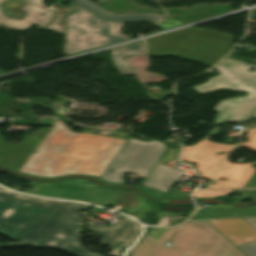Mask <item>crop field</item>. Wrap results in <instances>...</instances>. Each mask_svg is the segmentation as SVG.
Here are the masks:
<instances>
[{
  "mask_svg": "<svg viewBox=\"0 0 256 256\" xmlns=\"http://www.w3.org/2000/svg\"><path fill=\"white\" fill-rule=\"evenodd\" d=\"M89 206L23 197L0 188V235L23 243L0 244V247L58 248L75 256H97L79 246L75 226L78 210Z\"/></svg>",
  "mask_w": 256,
  "mask_h": 256,
  "instance_id": "obj_1",
  "label": "crop field"
},
{
  "mask_svg": "<svg viewBox=\"0 0 256 256\" xmlns=\"http://www.w3.org/2000/svg\"><path fill=\"white\" fill-rule=\"evenodd\" d=\"M84 182V180H76L72 183L59 184L31 183V185L37 186V190L23 192L55 198L97 203L105 207H107L118 195L117 192L101 189L96 184H84Z\"/></svg>",
  "mask_w": 256,
  "mask_h": 256,
  "instance_id": "obj_8",
  "label": "crop field"
},
{
  "mask_svg": "<svg viewBox=\"0 0 256 256\" xmlns=\"http://www.w3.org/2000/svg\"><path fill=\"white\" fill-rule=\"evenodd\" d=\"M106 1V0H98ZM72 2L86 8L87 10L95 13L96 15L110 19L112 21H150L155 25L161 20L163 16H159L158 13H135V14H123L113 15L105 9L101 8L97 4L89 0H72Z\"/></svg>",
  "mask_w": 256,
  "mask_h": 256,
  "instance_id": "obj_15",
  "label": "crop field"
},
{
  "mask_svg": "<svg viewBox=\"0 0 256 256\" xmlns=\"http://www.w3.org/2000/svg\"><path fill=\"white\" fill-rule=\"evenodd\" d=\"M250 133L247 135L249 141L247 142H243V143H239L237 145H244L247 146L249 149L256 151V128L247 130Z\"/></svg>",
  "mask_w": 256,
  "mask_h": 256,
  "instance_id": "obj_22",
  "label": "crop field"
},
{
  "mask_svg": "<svg viewBox=\"0 0 256 256\" xmlns=\"http://www.w3.org/2000/svg\"><path fill=\"white\" fill-rule=\"evenodd\" d=\"M238 216H256V208L254 209H236L233 207H213L210 211L198 210V212L190 219H212L224 217Z\"/></svg>",
  "mask_w": 256,
  "mask_h": 256,
  "instance_id": "obj_18",
  "label": "crop field"
},
{
  "mask_svg": "<svg viewBox=\"0 0 256 256\" xmlns=\"http://www.w3.org/2000/svg\"><path fill=\"white\" fill-rule=\"evenodd\" d=\"M67 14H68L67 7L61 4H58L54 12L53 18L50 20V22L47 25L43 26L42 28L53 30L59 34L64 35Z\"/></svg>",
  "mask_w": 256,
  "mask_h": 256,
  "instance_id": "obj_19",
  "label": "crop field"
},
{
  "mask_svg": "<svg viewBox=\"0 0 256 256\" xmlns=\"http://www.w3.org/2000/svg\"><path fill=\"white\" fill-rule=\"evenodd\" d=\"M165 17H166V19H163L162 22L157 27H159L161 29H166V28H169V27H172V26L182 24L181 22L173 20V19H171L167 16H165Z\"/></svg>",
  "mask_w": 256,
  "mask_h": 256,
  "instance_id": "obj_23",
  "label": "crop field"
},
{
  "mask_svg": "<svg viewBox=\"0 0 256 256\" xmlns=\"http://www.w3.org/2000/svg\"><path fill=\"white\" fill-rule=\"evenodd\" d=\"M1 26V25H0Z\"/></svg>",
  "mask_w": 256,
  "mask_h": 256,
  "instance_id": "obj_29",
  "label": "crop field"
},
{
  "mask_svg": "<svg viewBox=\"0 0 256 256\" xmlns=\"http://www.w3.org/2000/svg\"><path fill=\"white\" fill-rule=\"evenodd\" d=\"M211 135H216V133H209L204 139H209Z\"/></svg>",
  "mask_w": 256,
  "mask_h": 256,
  "instance_id": "obj_27",
  "label": "crop field"
},
{
  "mask_svg": "<svg viewBox=\"0 0 256 256\" xmlns=\"http://www.w3.org/2000/svg\"><path fill=\"white\" fill-rule=\"evenodd\" d=\"M232 48L231 36L189 28L147 39L148 55L174 56L212 66Z\"/></svg>",
  "mask_w": 256,
  "mask_h": 256,
  "instance_id": "obj_4",
  "label": "crop field"
},
{
  "mask_svg": "<svg viewBox=\"0 0 256 256\" xmlns=\"http://www.w3.org/2000/svg\"><path fill=\"white\" fill-rule=\"evenodd\" d=\"M123 23L96 17L71 3L64 39L65 55L129 39L120 33ZM75 27V29H71Z\"/></svg>",
  "mask_w": 256,
  "mask_h": 256,
  "instance_id": "obj_6",
  "label": "crop field"
},
{
  "mask_svg": "<svg viewBox=\"0 0 256 256\" xmlns=\"http://www.w3.org/2000/svg\"><path fill=\"white\" fill-rule=\"evenodd\" d=\"M95 234L103 237L102 244L113 247L119 241L132 243L136 238L139 227L136 222L124 217L111 228H93Z\"/></svg>",
  "mask_w": 256,
  "mask_h": 256,
  "instance_id": "obj_14",
  "label": "crop field"
},
{
  "mask_svg": "<svg viewBox=\"0 0 256 256\" xmlns=\"http://www.w3.org/2000/svg\"><path fill=\"white\" fill-rule=\"evenodd\" d=\"M53 1H58V2H62V1H65V0H53Z\"/></svg>",
  "mask_w": 256,
  "mask_h": 256,
  "instance_id": "obj_28",
  "label": "crop field"
},
{
  "mask_svg": "<svg viewBox=\"0 0 256 256\" xmlns=\"http://www.w3.org/2000/svg\"><path fill=\"white\" fill-rule=\"evenodd\" d=\"M112 62L119 70L121 76L133 75L132 71L127 66L126 62L122 60L125 55H145L144 43L137 42L121 47H117L111 50Z\"/></svg>",
  "mask_w": 256,
  "mask_h": 256,
  "instance_id": "obj_17",
  "label": "crop field"
},
{
  "mask_svg": "<svg viewBox=\"0 0 256 256\" xmlns=\"http://www.w3.org/2000/svg\"><path fill=\"white\" fill-rule=\"evenodd\" d=\"M236 245L256 240V230L243 218L207 221Z\"/></svg>",
  "mask_w": 256,
  "mask_h": 256,
  "instance_id": "obj_12",
  "label": "crop field"
},
{
  "mask_svg": "<svg viewBox=\"0 0 256 256\" xmlns=\"http://www.w3.org/2000/svg\"><path fill=\"white\" fill-rule=\"evenodd\" d=\"M246 63L225 58L214 68L222 70V74L208 80L207 83L194 86L201 94L226 88L230 90L248 91L245 97H238L218 103L214 110L219 114L215 123L247 120L256 110V72L241 70ZM248 64V63H247ZM255 67L256 65L249 64Z\"/></svg>",
  "mask_w": 256,
  "mask_h": 256,
  "instance_id": "obj_5",
  "label": "crop field"
},
{
  "mask_svg": "<svg viewBox=\"0 0 256 256\" xmlns=\"http://www.w3.org/2000/svg\"><path fill=\"white\" fill-rule=\"evenodd\" d=\"M172 93L170 94H165V95H160V96H155V98L159 99V100H162V99H165L167 98L169 95H171Z\"/></svg>",
  "mask_w": 256,
  "mask_h": 256,
  "instance_id": "obj_26",
  "label": "crop field"
},
{
  "mask_svg": "<svg viewBox=\"0 0 256 256\" xmlns=\"http://www.w3.org/2000/svg\"><path fill=\"white\" fill-rule=\"evenodd\" d=\"M161 142H149L129 138L100 179L109 184L124 185L121 176L125 172L146 176L163 152Z\"/></svg>",
  "mask_w": 256,
  "mask_h": 256,
  "instance_id": "obj_7",
  "label": "crop field"
},
{
  "mask_svg": "<svg viewBox=\"0 0 256 256\" xmlns=\"http://www.w3.org/2000/svg\"><path fill=\"white\" fill-rule=\"evenodd\" d=\"M42 0H0V22L11 28L26 29L31 23L43 25L51 16ZM39 13H44L43 16Z\"/></svg>",
  "mask_w": 256,
  "mask_h": 256,
  "instance_id": "obj_9",
  "label": "crop field"
},
{
  "mask_svg": "<svg viewBox=\"0 0 256 256\" xmlns=\"http://www.w3.org/2000/svg\"><path fill=\"white\" fill-rule=\"evenodd\" d=\"M177 152H178V150H176V149L168 148V150L163 155L161 160H165V159L177 160Z\"/></svg>",
  "mask_w": 256,
  "mask_h": 256,
  "instance_id": "obj_24",
  "label": "crop field"
},
{
  "mask_svg": "<svg viewBox=\"0 0 256 256\" xmlns=\"http://www.w3.org/2000/svg\"><path fill=\"white\" fill-rule=\"evenodd\" d=\"M244 219L248 221L256 229V218H244ZM237 247L240 248L248 256H256V241L246 243L244 245L237 246Z\"/></svg>",
  "mask_w": 256,
  "mask_h": 256,
  "instance_id": "obj_20",
  "label": "crop field"
},
{
  "mask_svg": "<svg viewBox=\"0 0 256 256\" xmlns=\"http://www.w3.org/2000/svg\"><path fill=\"white\" fill-rule=\"evenodd\" d=\"M233 147L234 145H220L208 140H202L192 147L184 146L180 159L197 164L196 169L200 172V177L211 179ZM221 151L226 153L222 156L214 155V152Z\"/></svg>",
  "mask_w": 256,
  "mask_h": 256,
  "instance_id": "obj_10",
  "label": "crop field"
},
{
  "mask_svg": "<svg viewBox=\"0 0 256 256\" xmlns=\"http://www.w3.org/2000/svg\"><path fill=\"white\" fill-rule=\"evenodd\" d=\"M252 164H256V162L251 164H233L226 160L214 180H218L219 176L225 177L228 180L218 182L213 180V183L215 182L217 185L212 183L209 188H244L256 170L251 167ZM227 175L230 177H227Z\"/></svg>",
  "mask_w": 256,
  "mask_h": 256,
  "instance_id": "obj_13",
  "label": "crop field"
},
{
  "mask_svg": "<svg viewBox=\"0 0 256 256\" xmlns=\"http://www.w3.org/2000/svg\"><path fill=\"white\" fill-rule=\"evenodd\" d=\"M183 174L184 172L180 170L158 164L154 173L142 185L154 187L160 192H166Z\"/></svg>",
  "mask_w": 256,
  "mask_h": 256,
  "instance_id": "obj_16",
  "label": "crop field"
},
{
  "mask_svg": "<svg viewBox=\"0 0 256 256\" xmlns=\"http://www.w3.org/2000/svg\"><path fill=\"white\" fill-rule=\"evenodd\" d=\"M126 140L71 133L59 119L18 172L38 177L83 173L100 177Z\"/></svg>",
  "mask_w": 256,
  "mask_h": 256,
  "instance_id": "obj_2",
  "label": "crop field"
},
{
  "mask_svg": "<svg viewBox=\"0 0 256 256\" xmlns=\"http://www.w3.org/2000/svg\"><path fill=\"white\" fill-rule=\"evenodd\" d=\"M172 91H159V92H152L150 93L152 96H155V95H160V94H165V93H170Z\"/></svg>",
  "mask_w": 256,
  "mask_h": 256,
  "instance_id": "obj_25",
  "label": "crop field"
},
{
  "mask_svg": "<svg viewBox=\"0 0 256 256\" xmlns=\"http://www.w3.org/2000/svg\"><path fill=\"white\" fill-rule=\"evenodd\" d=\"M231 190H219V191H196L193 193L195 198L198 197H215L217 195H226L230 193Z\"/></svg>",
  "mask_w": 256,
  "mask_h": 256,
  "instance_id": "obj_21",
  "label": "crop field"
},
{
  "mask_svg": "<svg viewBox=\"0 0 256 256\" xmlns=\"http://www.w3.org/2000/svg\"><path fill=\"white\" fill-rule=\"evenodd\" d=\"M41 138L25 136L18 146L7 144L0 134V163L19 169L33 152Z\"/></svg>",
  "mask_w": 256,
  "mask_h": 256,
  "instance_id": "obj_11",
  "label": "crop field"
},
{
  "mask_svg": "<svg viewBox=\"0 0 256 256\" xmlns=\"http://www.w3.org/2000/svg\"><path fill=\"white\" fill-rule=\"evenodd\" d=\"M180 227L167 228L157 240L144 236L131 256H247L206 221L186 222L165 247Z\"/></svg>",
  "mask_w": 256,
  "mask_h": 256,
  "instance_id": "obj_3",
  "label": "crop field"
}]
</instances>
